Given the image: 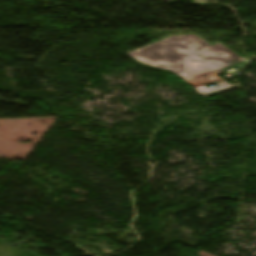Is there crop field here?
<instances>
[{
  "label": "crop field",
  "instance_id": "obj_1",
  "mask_svg": "<svg viewBox=\"0 0 256 256\" xmlns=\"http://www.w3.org/2000/svg\"><path fill=\"white\" fill-rule=\"evenodd\" d=\"M129 55L146 65L172 71L205 97L238 87L216 75L229 70L240 57L222 44L211 46L196 35L170 36ZM216 83V88L207 87Z\"/></svg>",
  "mask_w": 256,
  "mask_h": 256
}]
</instances>
